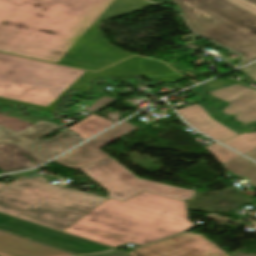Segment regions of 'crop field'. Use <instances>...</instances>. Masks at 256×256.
<instances>
[{"instance_id": "crop-field-8", "label": "crop field", "mask_w": 256, "mask_h": 256, "mask_svg": "<svg viewBox=\"0 0 256 256\" xmlns=\"http://www.w3.org/2000/svg\"><path fill=\"white\" fill-rule=\"evenodd\" d=\"M129 256H228L201 235L183 233L140 249Z\"/></svg>"}, {"instance_id": "crop-field-7", "label": "crop field", "mask_w": 256, "mask_h": 256, "mask_svg": "<svg viewBox=\"0 0 256 256\" xmlns=\"http://www.w3.org/2000/svg\"><path fill=\"white\" fill-rule=\"evenodd\" d=\"M0 230L51 245L77 255L114 249L1 213Z\"/></svg>"}, {"instance_id": "crop-field-12", "label": "crop field", "mask_w": 256, "mask_h": 256, "mask_svg": "<svg viewBox=\"0 0 256 256\" xmlns=\"http://www.w3.org/2000/svg\"><path fill=\"white\" fill-rule=\"evenodd\" d=\"M2 256H74L3 231H0Z\"/></svg>"}, {"instance_id": "crop-field-9", "label": "crop field", "mask_w": 256, "mask_h": 256, "mask_svg": "<svg viewBox=\"0 0 256 256\" xmlns=\"http://www.w3.org/2000/svg\"><path fill=\"white\" fill-rule=\"evenodd\" d=\"M256 80V63L241 69ZM211 96L229 102L222 110L225 115H235V121L247 125L256 121V90L236 84L209 92Z\"/></svg>"}, {"instance_id": "crop-field-1", "label": "crop field", "mask_w": 256, "mask_h": 256, "mask_svg": "<svg viewBox=\"0 0 256 256\" xmlns=\"http://www.w3.org/2000/svg\"><path fill=\"white\" fill-rule=\"evenodd\" d=\"M153 5L145 0H0V51L96 71L130 54L98 24Z\"/></svg>"}, {"instance_id": "crop-field-3", "label": "crop field", "mask_w": 256, "mask_h": 256, "mask_svg": "<svg viewBox=\"0 0 256 256\" xmlns=\"http://www.w3.org/2000/svg\"><path fill=\"white\" fill-rule=\"evenodd\" d=\"M193 225L184 201L143 191L122 202L105 200L62 232L117 248L142 246Z\"/></svg>"}, {"instance_id": "crop-field-13", "label": "crop field", "mask_w": 256, "mask_h": 256, "mask_svg": "<svg viewBox=\"0 0 256 256\" xmlns=\"http://www.w3.org/2000/svg\"><path fill=\"white\" fill-rule=\"evenodd\" d=\"M79 139L62 131L49 140L14 143L43 163L80 143Z\"/></svg>"}, {"instance_id": "crop-field-10", "label": "crop field", "mask_w": 256, "mask_h": 256, "mask_svg": "<svg viewBox=\"0 0 256 256\" xmlns=\"http://www.w3.org/2000/svg\"><path fill=\"white\" fill-rule=\"evenodd\" d=\"M134 129H136V127L124 123L103 135L101 134L102 136L84 144L83 146L73 150L54 162L76 170L84 168L109 157L98 149Z\"/></svg>"}, {"instance_id": "crop-field-20", "label": "crop field", "mask_w": 256, "mask_h": 256, "mask_svg": "<svg viewBox=\"0 0 256 256\" xmlns=\"http://www.w3.org/2000/svg\"><path fill=\"white\" fill-rule=\"evenodd\" d=\"M230 1L235 3V4H237V5H239V6H241L244 9H246V10L256 14V7L255 6L245 2L243 0H230Z\"/></svg>"}, {"instance_id": "crop-field-21", "label": "crop field", "mask_w": 256, "mask_h": 256, "mask_svg": "<svg viewBox=\"0 0 256 256\" xmlns=\"http://www.w3.org/2000/svg\"><path fill=\"white\" fill-rule=\"evenodd\" d=\"M86 256H128V255L127 253L121 252V251H111V252L92 254V255H86Z\"/></svg>"}, {"instance_id": "crop-field-5", "label": "crop field", "mask_w": 256, "mask_h": 256, "mask_svg": "<svg viewBox=\"0 0 256 256\" xmlns=\"http://www.w3.org/2000/svg\"><path fill=\"white\" fill-rule=\"evenodd\" d=\"M177 2L194 32L240 53L242 64L256 59V16L228 0H150ZM241 64V65H242Z\"/></svg>"}, {"instance_id": "crop-field-4", "label": "crop field", "mask_w": 256, "mask_h": 256, "mask_svg": "<svg viewBox=\"0 0 256 256\" xmlns=\"http://www.w3.org/2000/svg\"><path fill=\"white\" fill-rule=\"evenodd\" d=\"M105 199L22 177L0 189V212L61 231Z\"/></svg>"}, {"instance_id": "crop-field-24", "label": "crop field", "mask_w": 256, "mask_h": 256, "mask_svg": "<svg viewBox=\"0 0 256 256\" xmlns=\"http://www.w3.org/2000/svg\"><path fill=\"white\" fill-rule=\"evenodd\" d=\"M245 1H247V2H249V3H251V4L256 6V0H245Z\"/></svg>"}, {"instance_id": "crop-field-11", "label": "crop field", "mask_w": 256, "mask_h": 256, "mask_svg": "<svg viewBox=\"0 0 256 256\" xmlns=\"http://www.w3.org/2000/svg\"><path fill=\"white\" fill-rule=\"evenodd\" d=\"M210 105V102H206L177 111L192 127L219 142L241 133L240 128H235L215 116L209 108Z\"/></svg>"}, {"instance_id": "crop-field-23", "label": "crop field", "mask_w": 256, "mask_h": 256, "mask_svg": "<svg viewBox=\"0 0 256 256\" xmlns=\"http://www.w3.org/2000/svg\"><path fill=\"white\" fill-rule=\"evenodd\" d=\"M245 155L250 157V158H252V159H254V160H256V149L251 151V152H249V153H247V154H245Z\"/></svg>"}, {"instance_id": "crop-field-14", "label": "crop field", "mask_w": 256, "mask_h": 256, "mask_svg": "<svg viewBox=\"0 0 256 256\" xmlns=\"http://www.w3.org/2000/svg\"><path fill=\"white\" fill-rule=\"evenodd\" d=\"M59 128L61 127L56 120L45 119L18 133L0 126V143L38 140Z\"/></svg>"}, {"instance_id": "crop-field-17", "label": "crop field", "mask_w": 256, "mask_h": 256, "mask_svg": "<svg viewBox=\"0 0 256 256\" xmlns=\"http://www.w3.org/2000/svg\"><path fill=\"white\" fill-rule=\"evenodd\" d=\"M222 166L240 177L248 178L256 187V164L240 156Z\"/></svg>"}, {"instance_id": "crop-field-15", "label": "crop field", "mask_w": 256, "mask_h": 256, "mask_svg": "<svg viewBox=\"0 0 256 256\" xmlns=\"http://www.w3.org/2000/svg\"><path fill=\"white\" fill-rule=\"evenodd\" d=\"M42 164L12 143L0 144V168L4 171Z\"/></svg>"}, {"instance_id": "crop-field-22", "label": "crop field", "mask_w": 256, "mask_h": 256, "mask_svg": "<svg viewBox=\"0 0 256 256\" xmlns=\"http://www.w3.org/2000/svg\"><path fill=\"white\" fill-rule=\"evenodd\" d=\"M233 83L231 81H224V80H213L211 82L206 83L207 89H211L220 85L230 84Z\"/></svg>"}, {"instance_id": "crop-field-2", "label": "crop field", "mask_w": 256, "mask_h": 256, "mask_svg": "<svg viewBox=\"0 0 256 256\" xmlns=\"http://www.w3.org/2000/svg\"><path fill=\"white\" fill-rule=\"evenodd\" d=\"M106 75H142L162 82L184 79L164 63L141 57L92 73L0 53V104L25 105L54 114L65 92H89L87 84Z\"/></svg>"}, {"instance_id": "crop-field-16", "label": "crop field", "mask_w": 256, "mask_h": 256, "mask_svg": "<svg viewBox=\"0 0 256 256\" xmlns=\"http://www.w3.org/2000/svg\"><path fill=\"white\" fill-rule=\"evenodd\" d=\"M114 123L105 120L95 114L68 128L83 139H88L99 131L113 125Z\"/></svg>"}, {"instance_id": "crop-field-6", "label": "crop field", "mask_w": 256, "mask_h": 256, "mask_svg": "<svg viewBox=\"0 0 256 256\" xmlns=\"http://www.w3.org/2000/svg\"><path fill=\"white\" fill-rule=\"evenodd\" d=\"M81 170L109 191L108 198L119 201L143 190L184 201L195 193L139 179L111 157Z\"/></svg>"}, {"instance_id": "crop-field-18", "label": "crop field", "mask_w": 256, "mask_h": 256, "mask_svg": "<svg viewBox=\"0 0 256 256\" xmlns=\"http://www.w3.org/2000/svg\"><path fill=\"white\" fill-rule=\"evenodd\" d=\"M223 144L245 154L256 148V132L244 133L236 138L223 142Z\"/></svg>"}, {"instance_id": "crop-field-25", "label": "crop field", "mask_w": 256, "mask_h": 256, "mask_svg": "<svg viewBox=\"0 0 256 256\" xmlns=\"http://www.w3.org/2000/svg\"><path fill=\"white\" fill-rule=\"evenodd\" d=\"M5 185H6V184L0 183V188L3 187V186H5Z\"/></svg>"}, {"instance_id": "crop-field-19", "label": "crop field", "mask_w": 256, "mask_h": 256, "mask_svg": "<svg viewBox=\"0 0 256 256\" xmlns=\"http://www.w3.org/2000/svg\"><path fill=\"white\" fill-rule=\"evenodd\" d=\"M221 164L239 156L238 154L226 149L225 147L214 143L206 148Z\"/></svg>"}]
</instances>
